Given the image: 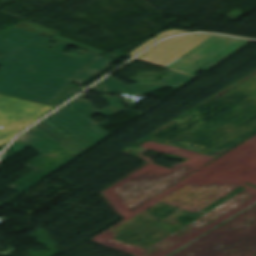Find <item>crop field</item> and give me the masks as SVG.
<instances>
[{
  "label": "crop field",
  "instance_id": "obj_1",
  "mask_svg": "<svg viewBox=\"0 0 256 256\" xmlns=\"http://www.w3.org/2000/svg\"><path fill=\"white\" fill-rule=\"evenodd\" d=\"M23 36L29 41L22 44L13 40ZM52 41L15 27L1 35L0 92L49 104L96 56L88 52L81 58L63 54L68 45L50 44ZM50 46L54 48L48 49Z\"/></svg>",
  "mask_w": 256,
  "mask_h": 256
},
{
  "label": "crop field",
  "instance_id": "obj_2",
  "mask_svg": "<svg viewBox=\"0 0 256 256\" xmlns=\"http://www.w3.org/2000/svg\"><path fill=\"white\" fill-rule=\"evenodd\" d=\"M85 96V94L79 95L77 98L66 104V106L44 120L58 127L67 135L89 149L111 135L91 122L93 120L90 119V116L94 114L108 116L119 112L125 109L120 102L126 101L117 97L98 95L110 105L109 107L98 111L92 108L89 101L82 100Z\"/></svg>",
  "mask_w": 256,
  "mask_h": 256
},
{
  "label": "crop field",
  "instance_id": "obj_3",
  "mask_svg": "<svg viewBox=\"0 0 256 256\" xmlns=\"http://www.w3.org/2000/svg\"><path fill=\"white\" fill-rule=\"evenodd\" d=\"M19 139L41 153L25 164L33 171L7 187L20 193L78 157L34 127Z\"/></svg>",
  "mask_w": 256,
  "mask_h": 256
},
{
  "label": "crop field",
  "instance_id": "obj_4",
  "mask_svg": "<svg viewBox=\"0 0 256 256\" xmlns=\"http://www.w3.org/2000/svg\"><path fill=\"white\" fill-rule=\"evenodd\" d=\"M248 41L212 35L165 68L194 77L242 48Z\"/></svg>",
  "mask_w": 256,
  "mask_h": 256
},
{
  "label": "crop field",
  "instance_id": "obj_5",
  "mask_svg": "<svg viewBox=\"0 0 256 256\" xmlns=\"http://www.w3.org/2000/svg\"><path fill=\"white\" fill-rule=\"evenodd\" d=\"M52 108L53 106L0 95V125L4 126L0 129V146Z\"/></svg>",
  "mask_w": 256,
  "mask_h": 256
},
{
  "label": "crop field",
  "instance_id": "obj_6",
  "mask_svg": "<svg viewBox=\"0 0 256 256\" xmlns=\"http://www.w3.org/2000/svg\"><path fill=\"white\" fill-rule=\"evenodd\" d=\"M210 36L186 35L167 39L137 58L165 67Z\"/></svg>",
  "mask_w": 256,
  "mask_h": 256
},
{
  "label": "crop field",
  "instance_id": "obj_7",
  "mask_svg": "<svg viewBox=\"0 0 256 256\" xmlns=\"http://www.w3.org/2000/svg\"><path fill=\"white\" fill-rule=\"evenodd\" d=\"M193 79L195 78L170 71L157 84L137 83L126 86L125 84L109 76L103 81L91 87L90 91L104 94H113L117 91H122L125 94H143L164 85L179 89Z\"/></svg>",
  "mask_w": 256,
  "mask_h": 256
},
{
  "label": "crop field",
  "instance_id": "obj_8",
  "mask_svg": "<svg viewBox=\"0 0 256 256\" xmlns=\"http://www.w3.org/2000/svg\"><path fill=\"white\" fill-rule=\"evenodd\" d=\"M35 127L38 128L39 130H41L46 135H48L49 137H51L52 139H54L55 141H57L58 143H60L61 145H63L64 147L68 148L69 150H71L72 152L77 154L78 156L81 155L86 150H88V149L84 148L83 146H81L79 143H77L72 138L64 143H61L62 141H64L65 139H67L69 137L66 136L64 133H62L61 131L54 128L53 126L49 125L44 120L41 123L35 125Z\"/></svg>",
  "mask_w": 256,
  "mask_h": 256
},
{
  "label": "crop field",
  "instance_id": "obj_9",
  "mask_svg": "<svg viewBox=\"0 0 256 256\" xmlns=\"http://www.w3.org/2000/svg\"><path fill=\"white\" fill-rule=\"evenodd\" d=\"M16 26H19L21 28L27 29L29 31L38 33L40 35L58 40L60 42H63V43H66V44H69V45H72V46H75V47H79V48H82V49H85V50L92 51V52L97 53V54L104 53L103 51H100V50H97V49H94V48H90V47L81 45L79 43L70 41V40H68L64 37L58 36L60 33L57 32V31L45 28L43 26L28 22V21H25V20L21 21Z\"/></svg>",
  "mask_w": 256,
  "mask_h": 256
},
{
  "label": "crop field",
  "instance_id": "obj_10",
  "mask_svg": "<svg viewBox=\"0 0 256 256\" xmlns=\"http://www.w3.org/2000/svg\"><path fill=\"white\" fill-rule=\"evenodd\" d=\"M109 65L110 60L108 58L99 56L98 58H95L90 64H88L74 80H79L81 82L87 81ZM91 69L94 70L91 71Z\"/></svg>",
  "mask_w": 256,
  "mask_h": 256
},
{
  "label": "crop field",
  "instance_id": "obj_11",
  "mask_svg": "<svg viewBox=\"0 0 256 256\" xmlns=\"http://www.w3.org/2000/svg\"><path fill=\"white\" fill-rule=\"evenodd\" d=\"M181 32H186V31H182V30H176V29H170L167 31H163L160 34H158L157 36L149 39L148 41H146L144 44H142L140 47H138L136 50H134L132 53V55L138 53L139 51H141L142 49L146 48L147 46H149L151 43H153L154 41H156L159 38L171 35V34H175V33H181Z\"/></svg>",
  "mask_w": 256,
  "mask_h": 256
},
{
  "label": "crop field",
  "instance_id": "obj_12",
  "mask_svg": "<svg viewBox=\"0 0 256 256\" xmlns=\"http://www.w3.org/2000/svg\"><path fill=\"white\" fill-rule=\"evenodd\" d=\"M76 89V87L69 85L51 105L55 104L56 102H58L59 100H61L62 98H64Z\"/></svg>",
  "mask_w": 256,
  "mask_h": 256
},
{
  "label": "crop field",
  "instance_id": "obj_13",
  "mask_svg": "<svg viewBox=\"0 0 256 256\" xmlns=\"http://www.w3.org/2000/svg\"><path fill=\"white\" fill-rule=\"evenodd\" d=\"M27 146L28 145H26L24 142H22V141L17 139L9 148L19 152V151L23 150Z\"/></svg>",
  "mask_w": 256,
  "mask_h": 256
},
{
  "label": "crop field",
  "instance_id": "obj_14",
  "mask_svg": "<svg viewBox=\"0 0 256 256\" xmlns=\"http://www.w3.org/2000/svg\"><path fill=\"white\" fill-rule=\"evenodd\" d=\"M81 90H83L82 87L79 88V89H77L76 91H74L73 93H71L70 95H68L67 97H65V98L62 99L61 101H59L58 103H56L55 106H58V105H60L61 103L65 102L66 100H68L69 98H71L72 96H74L75 94H77L78 92H80Z\"/></svg>",
  "mask_w": 256,
  "mask_h": 256
}]
</instances>
